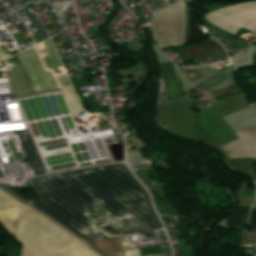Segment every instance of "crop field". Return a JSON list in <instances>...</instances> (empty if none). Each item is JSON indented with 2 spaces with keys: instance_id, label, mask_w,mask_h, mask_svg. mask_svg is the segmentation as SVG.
Listing matches in <instances>:
<instances>
[{
  "instance_id": "12",
  "label": "crop field",
  "mask_w": 256,
  "mask_h": 256,
  "mask_svg": "<svg viewBox=\"0 0 256 256\" xmlns=\"http://www.w3.org/2000/svg\"><path fill=\"white\" fill-rule=\"evenodd\" d=\"M249 224L256 229V208H252L249 217Z\"/></svg>"
},
{
  "instance_id": "5",
  "label": "crop field",
  "mask_w": 256,
  "mask_h": 256,
  "mask_svg": "<svg viewBox=\"0 0 256 256\" xmlns=\"http://www.w3.org/2000/svg\"><path fill=\"white\" fill-rule=\"evenodd\" d=\"M238 140L219 146L228 159H256V125L235 130Z\"/></svg>"
},
{
  "instance_id": "4",
  "label": "crop field",
  "mask_w": 256,
  "mask_h": 256,
  "mask_svg": "<svg viewBox=\"0 0 256 256\" xmlns=\"http://www.w3.org/2000/svg\"><path fill=\"white\" fill-rule=\"evenodd\" d=\"M204 18L232 34L240 27L256 33V2L233 5L205 15Z\"/></svg>"
},
{
  "instance_id": "13",
  "label": "crop field",
  "mask_w": 256,
  "mask_h": 256,
  "mask_svg": "<svg viewBox=\"0 0 256 256\" xmlns=\"http://www.w3.org/2000/svg\"><path fill=\"white\" fill-rule=\"evenodd\" d=\"M253 180H256V162L247 161Z\"/></svg>"
},
{
  "instance_id": "10",
  "label": "crop field",
  "mask_w": 256,
  "mask_h": 256,
  "mask_svg": "<svg viewBox=\"0 0 256 256\" xmlns=\"http://www.w3.org/2000/svg\"><path fill=\"white\" fill-rule=\"evenodd\" d=\"M249 206H240L237 213L225 220V226L236 228L246 224V217Z\"/></svg>"
},
{
  "instance_id": "11",
  "label": "crop field",
  "mask_w": 256,
  "mask_h": 256,
  "mask_svg": "<svg viewBox=\"0 0 256 256\" xmlns=\"http://www.w3.org/2000/svg\"><path fill=\"white\" fill-rule=\"evenodd\" d=\"M61 91L63 93V96L66 100V103L68 105V108H69L72 116L82 110L81 105H80L72 87L63 88V89H61Z\"/></svg>"
},
{
  "instance_id": "3",
  "label": "crop field",
  "mask_w": 256,
  "mask_h": 256,
  "mask_svg": "<svg viewBox=\"0 0 256 256\" xmlns=\"http://www.w3.org/2000/svg\"><path fill=\"white\" fill-rule=\"evenodd\" d=\"M184 27L185 6L180 2L155 13L153 37L160 47L183 44Z\"/></svg>"
},
{
  "instance_id": "1",
  "label": "crop field",
  "mask_w": 256,
  "mask_h": 256,
  "mask_svg": "<svg viewBox=\"0 0 256 256\" xmlns=\"http://www.w3.org/2000/svg\"><path fill=\"white\" fill-rule=\"evenodd\" d=\"M29 179L30 204L84 240L162 228L123 163Z\"/></svg>"
},
{
  "instance_id": "9",
  "label": "crop field",
  "mask_w": 256,
  "mask_h": 256,
  "mask_svg": "<svg viewBox=\"0 0 256 256\" xmlns=\"http://www.w3.org/2000/svg\"><path fill=\"white\" fill-rule=\"evenodd\" d=\"M191 135L196 141L219 144L198 120L191 127Z\"/></svg>"
},
{
  "instance_id": "14",
  "label": "crop field",
  "mask_w": 256,
  "mask_h": 256,
  "mask_svg": "<svg viewBox=\"0 0 256 256\" xmlns=\"http://www.w3.org/2000/svg\"><path fill=\"white\" fill-rule=\"evenodd\" d=\"M124 253H125V256H140L138 249L127 250V251H124Z\"/></svg>"
},
{
  "instance_id": "7",
  "label": "crop field",
  "mask_w": 256,
  "mask_h": 256,
  "mask_svg": "<svg viewBox=\"0 0 256 256\" xmlns=\"http://www.w3.org/2000/svg\"><path fill=\"white\" fill-rule=\"evenodd\" d=\"M212 91L215 93L218 99L242 92V90L236 86L233 76L227 79L224 83L212 88ZM212 91L210 89L208 90V93L210 95V98H212L213 101H215L217 100V97L214 95Z\"/></svg>"
},
{
  "instance_id": "6",
  "label": "crop field",
  "mask_w": 256,
  "mask_h": 256,
  "mask_svg": "<svg viewBox=\"0 0 256 256\" xmlns=\"http://www.w3.org/2000/svg\"><path fill=\"white\" fill-rule=\"evenodd\" d=\"M34 172L45 170L26 130L16 131Z\"/></svg>"
},
{
  "instance_id": "8",
  "label": "crop field",
  "mask_w": 256,
  "mask_h": 256,
  "mask_svg": "<svg viewBox=\"0 0 256 256\" xmlns=\"http://www.w3.org/2000/svg\"><path fill=\"white\" fill-rule=\"evenodd\" d=\"M234 72H235V70L233 68V65H230L227 68H225L224 70L215 74L214 76H212V77L210 76L211 78H209L207 80L205 79L206 81H204L196 86H198L202 90L209 89V88L215 86L216 84L220 83L221 81H223L225 78H227Z\"/></svg>"
},
{
  "instance_id": "2",
  "label": "crop field",
  "mask_w": 256,
  "mask_h": 256,
  "mask_svg": "<svg viewBox=\"0 0 256 256\" xmlns=\"http://www.w3.org/2000/svg\"><path fill=\"white\" fill-rule=\"evenodd\" d=\"M0 224L22 245L21 256H98L1 189Z\"/></svg>"
}]
</instances>
